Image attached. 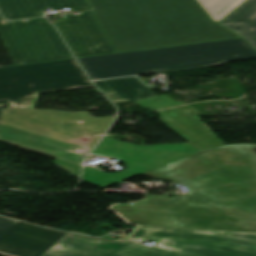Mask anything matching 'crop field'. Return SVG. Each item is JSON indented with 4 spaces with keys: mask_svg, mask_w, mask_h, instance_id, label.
Listing matches in <instances>:
<instances>
[{
    "mask_svg": "<svg viewBox=\"0 0 256 256\" xmlns=\"http://www.w3.org/2000/svg\"><path fill=\"white\" fill-rule=\"evenodd\" d=\"M127 240L157 243L149 247L66 233L42 256H256L251 232L137 226Z\"/></svg>",
    "mask_w": 256,
    "mask_h": 256,
    "instance_id": "obj_3",
    "label": "crop field"
},
{
    "mask_svg": "<svg viewBox=\"0 0 256 256\" xmlns=\"http://www.w3.org/2000/svg\"><path fill=\"white\" fill-rule=\"evenodd\" d=\"M254 58L256 51L243 39H235L78 59L91 79L97 80Z\"/></svg>",
    "mask_w": 256,
    "mask_h": 256,
    "instance_id": "obj_5",
    "label": "crop field"
},
{
    "mask_svg": "<svg viewBox=\"0 0 256 256\" xmlns=\"http://www.w3.org/2000/svg\"><path fill=\"white\" fill-rule=\"evenodd\" d=\"M64 234L0 217V254L41 256Z\"/></svg>",
    "mask_w": 256,
    "mask_h": 256,
    "instance_id": "obj_10",
    "label": "crop field"
},
{
    "mask_svg": "<svg viewBox=\"0 0 256 256\" xmlns=\"http://www.w3.org/2000/svg\"><path fill=\"white\" fill-rule=\"evenodd\" d=\"M0 38L15 65L72 58L45 18L0 23Z\"/></svg>",
    "mask_w": 256,
    "mask_h": 256,
    "instance_id": "obj_9",
    "label": "crop field"
},
{
    "mask_svg": "<svg viewBox=\"0 0 256 256\" xmlns=\"http://www.w3.org/2000/svg\"><path fill=\"white\" fill-rule=\"evenodd\" d=\"M197 152L189 143L138 146L104 138L91 153L118 158L127 164V169L118 173H104L85 167L82 181L104 189Z\"/></svg>",
    "mask_w": 256,
    "mask_h": 256,
    "instance_id": "obj_8",
    "label": "crop field"
},
{
    "mask_svg": "<svg viewBox=\"0 0 256 256\" xmlns=\"http://www.w3.org/2000/svg\"><path fill=\"white\" fill-rule=\"evenodd\" d=\"M89 1L117 52L239 37L196 0Z\"/></svg>",
    "mask_w": 256,
    "mask_h": 256,
    "instance_id": "obj_2",
    "label": "crop field"
},
{
    "mask_svg": "<svg viewBox=\"0 0 256 256\" xmlns=\"http://www.w3.org/2000/svg\"><path fill=\"white\" fill-rule=\"evenodd\" d=\"M161 120L198 150L223 146L219 138L199 119L190 105L159 112Z\"/></svg>",
    "mask_w": 256,
    "mask_h": 256,
    "instance_id": "obj_11",
    "label": "crop field"
},
{
    "mask_svg": "<svg viewBox=\"0 0 256 256\" xmlns=\"http://www.w3.org/2000/svg\"><path fill=\"white\" fill-rule=\"evenodd\" d=\"M134 103H136L137 105L145 109H161V108H167V107L179 105L169 95L155 96V97L135 101Z\"/></svg>",
    "mask_w": 256,
    "mask_h": 256,
    "instance_id": "obj_15",
    "label": "crop field"
},
{
    "mask_svg": "<svg viewBox=\"0 0 256 256\" xmlns=\"http://www.w3.org/2000/svg\"><path fill=\"white\" fill-rule=\"evenodd\" d=\"M114 103L135 101L155 96L137 78H121L94 82Z\"/></svg>",
    "mask_w": 256,
    "mask_h": 256,
    "instance_id": "obj_12",
    "label": "crop field"
},
{
    "mask_svg": "<svg viewBox=\"0 0 256 256\" xmlns=\"http://www.w3.org/2000/svg\"><path fill=\"white\" fill-rule=\"evenodd\" d=\"M91 86L74 59L0 68V105L33 108L40 93Z\"/></svg>",
    "mask_w": 256,
    "mask_h": 256,
    "instance_id": "obj_6",
    "label": "crop field"
},
{
    "mask_svg": "<svg viewBox=\"0 0 256 256\" xmlns=\"http://www.w3.org/2000/svg\"><path fill=\"white\" fill-rule=\"evenodd\" d=\"M47 7L85 11L80 16L67 15L66 22L55 24L76 57L117 53L86 0H0L7 19L42 16L40 10Z\"/></svg>",
    "mask_w": 256,
    "mask_h": 256,
    "instance_id": "obj_7",
    "label": "crop field"
},
{
    "mask_svg": "<svg viewBox=\"0 0 256 256\" xmlns=\"http://www.w3.org/2000/svg\"><path fill=\"white\" fill-rule=\"evenodd\" d=\"M112 117L96 118L84 111L6 108L0 117V141L55 157L51 163L78 179L82 156L102 137Z\"/></svg>",
    "mask_w": 256,
    "mask_h": 256,
    "instance_id": "obj_4",
    "label": "crop field"
},
{
    "mask_svg": "<svg viewBox=\"0 0 256 256\" xmlns=\"http://www.w3.org/2000/svg\"><path fill=\"white\" fill-rule=\"evenodd\" d=\"M255 150L256 144L223 146L144 173L187 185L191 193L147 195L112 210L139 225L256 232Z\"/></svg>",
    "mask_w": 256,
    "mask_h": 256,
    "instance_id": "obj_1",
    "label": "crop field"
},
{
    "mask_svg": "<svg viewBox=\"0 0 256 256\" xmlns=\"http://www.w3.org/2000/svg\"><path fill=\"white\" fill-rule=\"evenodd\" d=\"M0 112H1V108H0Z\"/></svg>",
    "mask_w": 256,
    "mask_h": 256,
    "instance_id": "obj_16",
    "label": "crop field"
},
{
    "mask_svg": "<svg viewBox=\"0 0 256 256\" xmlns=\"http://www.w3.org/2000/svg\"><path fill=\"white\" fill-rule=\"evenodd\" d=\"M219 24L239 34L256 49V0H245Z\"/></svg>",
    "mask_w": 256,
    "mask_h": 256,
    "instance_id": "obj_13",
    "label": "crop field"
},
{
    "mask_svg": "<svg viewBox=\"0 0 256 256\" xmlns=\"http://www.w3.org/2000/svg\"><path fill=\"white\" fill-rule=\"evenodd\" d=\"M212 21L218 23L244 0H197ZM198 3V4H199Z\"/></svg>",
    "mask_w": 256,
    "mask_h": 256,
    "instance_id": "obj_14",
    "label": "crop field"
}]
</instances>
